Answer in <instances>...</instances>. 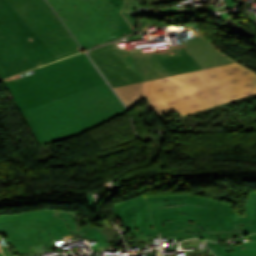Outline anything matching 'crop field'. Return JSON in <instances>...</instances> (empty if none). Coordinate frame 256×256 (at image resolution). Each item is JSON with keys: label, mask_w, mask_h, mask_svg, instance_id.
<instances>
[{"label": "crop field", "mask_w": 256, "mask_h": 256, "mask_svg": "<svg viewBox=\"0 0 256 256\" xmlns=\"http://www.w3.org/2000/svg\"><path fill=\"white\" fill-rule=\"evenodd\" d=\"M83 50L45 0H0V77Z\"/></svg>", "instance_id": "1"}, {"label": "crop field", "mask_w": 256, "mask_h": 256, "mask_svg": "<svg viewBox=\"0 0 256 256\" xmlns=\"http://www.w3.org/2000/svg\"><path fill=\"white\" fill-rule=\"evenodd\" d=\"M129 109L148 97L157 113L181 116L256 93V73L233 63L114 88Z\"/></svg>", "instance_id": "2"}, {"label": "crop field", "mask_w": 256, "mask_h": 256, "mask_svg": "<svg viewBox=\"0 0 256 256\" xmlns=\"http://www.w3.org/2000/svg\"><path fill=\"white\" fill-rule=\"evenodd\" d=\"M22 113L43 146L88 131L126 111L105 84Z\"/></svg>", "instance_id": "3"}, {"label": "crop field", "mask_w": 256, "mask_h": 256, "mask_svg": "<svg viewBox=\"0 0 256 256\" xmlns=\"http://www.w3.org/2000/svg\"><path fill=\"white\" fill-rule=\"evenodd\" d=\"M4 81L20 110L105 84L84 53Z\"/></svg>", "instance_id": "4"}, {"label": "crop field", "mask_w": 256, "mask_h": 256, "mask_svg": "<svg viewBox=\"0 0 256 256\" xmlns=\"http://www.w3.org/2000/svg\"><path fill=\"white\" fill-rule=\"evenodd\" d=\"M84 50L126 36L136 29V0H47Z\"/></svg>", "instance_id": "5"}, {"label": "crop field", "mask_w": 256, "mask_h": 256, "mask_svg": "<svg viewBox=\"0 0 256 256\" xmlns=\"http://www.w3.org/2000/svg\"><path fill=\"white\" fill-rule=\"evenodd\" d=\"M124 51L115 42L89 53L113 87L202 68L183 46L148 52L140 48L127 54Z\"/></svg>", "instance_id": "6"}, {"label": "crop field", "mask_w": 256, "mask_h": 256, "mask_svg": "<svg viewBox=\"0 0 256 256\" xmlns=\"http://www.w3.org/2000/svg\"><path fill=\"white\" fill-rule=\"evenodd\" d=\"M160 235L232 230L235 208L214 198L188 194L145 196Z\"/></svg>", "instance_id": "7"}, {"label": "crop field", "mask_w": 256, "mask_h": 256, "mask_svg": "<svg viewBox=\"0 0 256 256\" xmlns=\"http://www.w3.org/2000/svg\"><path fill=\"white\" fill-rule=\"evenodd\" d=\"M54 210H40L22 214L0 215V234L6 233L18 254L31 252L28 246L44 244L58 248L54 242L72 237L65 222L53 217Z\"/></svg>", "instance_id": "8"}, {"label": "crop field", "mask_w": 256, "mask_h": 256, "mask_svg": "<svg viewBox=\"0 0 256 256\" xmlns=\"http://www.w3.org/2000/svg\"><path fill=\"white\" fill-rule=\"evenodd\" d=\"M113 212L130 229L135 243L142 242L140 237L157 234L144 195L116 204Z\"/></svg>", "instance_id": "9"}, {"label": "crop field", "mask_w": 256, "mask_h": 256, "mask_svg": "<svg viewBox=\"0 0 256 256\" xmlns=\"http://www.w3.org/2000/svg\"><path fill=\"white\" fill-rule=\"evenodd\" d=\"M54 216L62 218L68 225L75 239H94L97 244L91 246L94 252H102L109 247L119 233L113 227L107 229L106 226L99 228L95 226L80 227L81 218L75 213L56 211Z\"/></svg>", "instance_id": "10"}, {"label": "crop field", "mask_w": 256, "mask_h": 256, "mask_svg": "<svg viewBox=\"0 0 256 256\" xmlns=\"http://www.w3.org/2000/svg\"><path fill=\"white\" fill-rule=\"evenodd\" d=\"M183 46L203 68L236 62L223 55L204 37L186 42Z\"/></svg>", "instance_id": "11"}, {"label": "crop field", "mask_w": 256, "mask_h": 256, "mask_svg": "<svg viewBox=\"0 0 256 256\" xmlns=\"http://www.w3.org/2000/svg\"><path fill=\"white\" fill-rule=\"evenodd\" d=\"M208 247L216 254V256H247L256 255V249H245L240 248L250 246V242H241L229 245L220 246L219 243L207 241Z\"/></svg>", "instance_id": "12"}, {"label": "crop field", "mask_w": 256, "mask_h": 256, "mask_svg": "<svg viewBox=\"0 0 256 256\" xmlns=\"http://www.w3.org/2000/svg\"><path fill=\"white\" fill-rule=\"evenodd\" d=\"M240 236V230L237 231H214V232H197V233H185L175 236L177 241H181L187 238H203L213 241H224L234 237Z\"/></svg>", "instance_id": "13"}, {"label": "crop field", "mask_w": 256, "mask_h": 256, "mask_svg": "<svg viewBox=\"0 0 256 256\" xmlns=\"http://www.w3.org/2000/svg\"><path fill=\"white\" fill-rule=\"evenodd\" d=\"M255 202H256V192L251 191L246 201L245 217L238 218L233 230L240 229L241 223H243V226L250 225Z\"/></svg>", "instance_id": "14"}, {"label": "crop field", "mask_w": 256, "mask_h": 256, "mask_svg": "<svg viewBox=\"0 0 256 256\" xmlns=\"http://www.w3.org/2000/svg\"><path fill=\"white\" fill-rule=\"evenodd\" d=\"M182 248L194 247L195 250L185 251L186 256H215L209 249L199 250L200 240H187L180 243Z\"/></svg>", "instance_id": "15"}, {"label": "crop field", "mask_w": 256, "mask_h": 256, "mask_svg": "<svg viewBox=\"0 0 256 256\" xmlns=\"http://www.w3.org/2000/svg\"><path fill=\"white\" fill-rule=\"evenodd\" d=\"M205 6H207V5L206 4L198 5V6H194V7H189L188 9L183 8V9H178V10H177L176 6H173V7H169V8L159 9L157 11H159L161 13H179V12H185V11H191V10H203Z\"/></svg>", "instance_id": "16"}, {"label": "crop field", "mask_w": 256, "mask_h": 256, "mask_svg": "<svg viewBox=\"0 0 256 256\" xmlns=\"http://www.w3.org/2000/svg\"><path fill=\"white\" fill-rule=\"evenodd\" d=\"M141 22V30L140 32H143L142 30L148 31L149 26H156V27H162L163 25H166L164 23L158 22V21H151V20H140Z\"/></svg>", "instance_id": "17"}, {"label": "crop field", "mask_w": 256, "mask_h": 256, "mask_svg": "<svg viewBox=\"0 0 256 256\" xmlns=\"http://www.w3.org/2000/svg\"><path fill=\"white\" fill-rule=\"evenodd\" d=\"M228 13H229V12H228ZM229 15H230V13H229ZM227 17H229V16H228V14H226V13H221V14H220L219 18H220L222 24H224V25H225L230 31H232L235 35H240L239 33H237V32H235V31L231 30L230 27L227 26V23H226L225 20H224V19H226ZM240 36H241V35H240Z\"/></svg>", "instance_id": "18"}, {"label": "crop field", "mask_w": 256, "mask_h": 256, "mask_svg": "<svg viewBox=\"0 0 256 256\" xmlns=\"http://www.w3.org/2000/svg\"><path fill=\"white\" fill-rule=\"evenodd\" d=\"M253 232H256V225L243 227L241 231V235L247 234V233H253Z\"/></svg>", "instance_id": "19"}, {"label": "crop field", "mask_w": 256, "mask_h": 256, "mask_svg": "<svg viewBox=\"0 0 256 256\" xmlns=\"http://www.w3.org/2000/svg\"><path fill=\"white\" fill-rule=\"evenodd\" d=\"M0 245H1V247H2V251H3V252L10 251V250H9V247H8V245H7V243L5 242V240L3 239L2 236L0 237Z\"/></svg>", "instance_id": "20"}, {"label": "crop field", "mask_w": 256, "mask_h": 256, "mask_svg": "<svg viewBox=\"0 0 256 256\" xmlns=\"http://www.w3.org/2000/svg\"><path fill=\"white\" fill-rule=\"evenodd\" d=\"M146 15V16H154V15H158V14H156V13H154V12H151V11H148V10H140V11H138L137 12V16L138 15Z\"/></svg>", "instance_id": "21"}, {"label": "crop field", "mask_w": 256, "mask_h": 256, "mask_svg": "<svg viewBox=\"0 0 256 256\" xmlns=\"http://www.w3.org/2000/svg\"><path fill=\"white\" fill-rule=\"evenodd\" d=\"M145 3L148 4H160L171 0H143Z\"/></svg>", "instance_id": "22"}, {"label": "crop field", "mask_w": 256, "mask_h": 256, "mask_svg": "<svg viewBox=\"0 0 256 256\" xmlns=\"http://www.w3.org/2000/svg\"><path fill=\"white\" fill-rule=\"evenodd\" d=\"M224 1H228V6H230L229 9L235 7L236 2H237V0H224Z\"/></svg>", "instance_id": "23"}, {"label": "crop field", "mask_w": 256, "mask_h": 256, "mask_svg": "<svg viewBox=\"0 0 256 256\" xmlns=\"http://www.w3.org/2000/svg\"><path fill=\"white\" fill-rule=\"evenodd\" d=\"M254 224H256V207H255L254 216H253V220H252L251 225H254Z\"/></svg>", "instance_id": "24"}, {"label": "crop field", "mask_w": 256, "mask_h": 256, "mask_svg": "<svg viewBox=\"0 0 256 256\" xmlns=\"http://www.w3.org/2000/svg\"><path fill=\"white\" fill-rule=\"evenodd\" d=\"M249 237H250V241L256 240V234L249 235Z\"/></svg>", "instance_id": "25"}, {"label": "crop field", "mask_w": 256, "mask_h": 256, "mask_svg": "<svg viewBox=\"0 0 256 256\" xmlns=\"http://www.w3.org/2000/svg\"><path fill=\"white\" fill-rule=\"evenodd\" d=\"M251 244H252V246L246 247V248H256V241L255 242H251ZM242 249H244V248H242Z\"/></svg>", "instance_id": "26"}, {"label": "crop field", "mask_w": 256, "mask_h": 256, "mask_svg": "<svg viewBox=\"0 0 256 256\" xmlns=\"http://www.w3.org/2000/svg\"><path fill=\"white\" fill-rule=\"evenodd\" d=\"M223 9H224V10H227V7H223ZM216 11H222V10H220V8H219V9L216 10Z\"/></svg>", "instance_id": "27"}, {"label": "crop field", "mask_w": 256, "mask_h": 256, "mask_svg": "<svg viewBox=\"0 0 256 256\" xmlns=\"http://www.w3.org/2000/svg\"><path fill=\"white\" fill-rule=\"evenodd\" d=\"M218 8V7H217ZM208 10H214V9H211V7H207ZM216 9V8H215Z\"/></svg>", "instance_id": "28"}, {"label": "crop field", "mask_w": 256, "mask_h": 256, "mask_svg": "<svg viewBox=\"0 0 256 256\" xmlns=\"http://www.w3.org/2000/svg\"><path fill=\"white\" fill-rule=\"evenodd\" d=\"M0 256H3L2 253H0Z\"/></svg>", "instance_id": "29"}, {"label": "crop field", "mask_w": 256, "mask_h": 256, "mask_svg": "<svg viewBox=\"0 0 256 256\" xmlns=\"http://www.w3.org/2000/svg\"><path fill=\"white\" fill-rule=\"evenodd\" d=\"M0 252H1V249H0Z\"/></svg>", "instance_id": "30"}]
</instances>
